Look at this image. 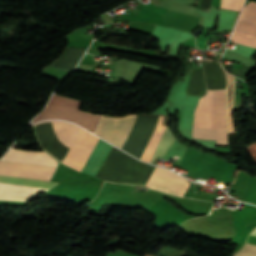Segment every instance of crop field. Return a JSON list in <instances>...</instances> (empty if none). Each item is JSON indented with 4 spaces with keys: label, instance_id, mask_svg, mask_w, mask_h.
I'll return each mask as SVG.
<instances>
[{
    "label": "crop field",
    "instance_id": "crop-field-4",
    "mask_svg": "<svg viewBox=\"0 0 256 256\" xmlns=\"http://www.w3.org/2000/svg\"><path fill=\"white\" fill-rule=\"evenodd\" d=\"M0 183L22 185L38 188L51 189L56 186V182H46L38 180H30L23 178H15L8 176H0ZM0 184V200L27 201L38 191H48L46 189L21 187L13 185Z\"/></svg>",
    "mask_w": 256,
    "mask_h": 256
},
{
    "label": "crop field",
    "instance_id": "crop-field-12",
    "mask_svg": "<svg viewBox=\"0 0 256 256\" xmlns=\"http://www.w3.org/2000/svg\"><path fill=\"white\" fill-rule=\"evenodd\" d=\"M233 256H256V246L245 243Z\"/></svg>",
    "mask_w": 256,
    "mask_h": 256
},
{
    "label": "crop field",
    "instance_id": "crop-field-6",
    "mask_svg": "<svg viewBox=\"0 0 256 256\" xmlns=\"http://www.w3.org/2000/svg\"><path fill=\"white\" fill-rule=\"evenodd\" d=\"M55 168L0 161V175L50 180Z\"/></svg>",
    "mask_w": 256,
    "mask_h": 256
},
{
    "label": "crop field",
    "instance_id": "crop-field-2",
    "mask_svg": "<svg viewBox=\"0 0 256 256\" xmlns=\"http://www.w3.org/2000/svg\"><path fill=\"white\" fill-rule=\"evenodd\" d=\"M134 115H128L126 117H122V118H108V117H103L95 134L101 136L102 138L112 142L113 144L122 147L123 142L125 140V137L127 135V132L129 130V127L131 125L132 119H133ZM164 117H159L158 121L156 123V126L140 156V159H143L145 161H149V158L151 157L165 127L161 126V123L163 121ZM161 126V128H160ZM160 128V130H159ZM159 130L148 154L147 157H145L157 131Z\"/></svg>",
    "mask_w": 256,
    "mask_h": 256
},
{
    "label": "crop field",
    "instance_id": "crop-field-3",
    "mask_svg": "<svg viewBox=\"0 0 256 256\" xmlns=\"http://www.w3.org/2000/svg\"><path fill=\"white\" fill-rule=\"evenodd\" d=\"M212 90L199 99L195 110L192 139L214 141L213 145H228L227 129H211Z\"/></svg>",
    "mask_w": 256,
    "mask_h": 256
},
{
    "label": "crop field",
    "instance_id": "crop-field-1",
    "mask_svg": "<svg viewBox=\"0 0 256 256\" xmlns=\"http://www.w3.org/2000/svg\"><path fill=\"white\" fill-rule=\"evenodd\" d=\"M79 106V100L53 94L47 107L35 117L33 122L42 119L59 118L76 122L93 132L101 115L81 111Z\"/></svg>",
    "mask_w": 256,
    "mask_h": 256
},
{
    "label": "crop field",
    "instance_id": "crop-field-14",
    "mask_svg": "<svg viewBox=\"0 0 256 256\" xmlns=\"http://www.w3.org/2000/svg\"><path fill=\"white\" fill-rule=\"evenodd\" d=\"M153 172L157 173V174H160V175H164V176L173 178V179H176V180H179V181H183V182L187 181V180L185 181L182 177L178 176L177 174H175L173 172L166 171V170H163V169H160V168H157V167H155ZM186 183H188V182H186Z\"/></svg>",
    "mask_w": 256,
    "mask_h": 256
},
{
    "label": "crop field",
    "instance_id": "crop-field-15",
    "mask_svg": "<svg viewBox=\"0 0 256 256\" xmlns=\"http://www.w3.org/2000/svg\"><path fill=\"white\" fill-rule=\"evenodd\" d=\"M251 235H255V236H256V228L253 230V232L251 233Z\"/></svg>",
    "mask_w": 256,
    "mask_h": 256
},
{
    "label": "crop field",
    "instance_id": "crop-field-11",
    "mask_svg": "<svg viewBox=\"0 0 256 256\" xmlns=\"http://www.w3.org/2000/svg\"><path fill=\"white\" fill-rule=\"evenodd\" d=\"M176 139L174 136L170 133V131L166 128L150 162L153 163L156 155L163 157V155L168 150L169 146L175 141Z\"/></svg>",
    "mask_w": 256,
    "mask_h": 256
},
{
    "label": "crop field",
    "instance_id": "crop-field-13",
    "mask_svg": "<svg viewBox=\"0 0 256 256\" xmlns=\"http://www.w3.org/2000/svg\"><path fill=\"white\" fill-rule=\"evenodd\" d=\"M243 1L244 0H221V8L239 11Z\"/></svg>",
    "mask_w": 256,
    "mask_h": 256
},
{
    "label": "crop field",
    "instance_id": "crop-field-8",
    "mask_svg": "<svg viewBox=\"0 0 256 256\" xmlns=\"http://www.w3.org/2000/svg\"><path fill=\"white\" fill-rule=\"evenodd\" d=\"M51 123L58 140L68 149H71L82 128L64 121H51Z\"/></svg>",
    "mask_w": 256,
    "mask_h": 256
},
{
    "label": "crop field",
    "instance_id": "crop-field-5",
    "mask_svg": "<svg viewBox=\"0 0 256 256\" xmlns=\"http://www.w3.org/2000/svg\"><path fill=\"white\" fill-rule=\"evenodd\" d=\"M98 139L82 129L64 165L81 172Z\"/></svg>",
    "mask_w": 256,
    "mask_h": 256
},
{
    "label": "crop field",
    "instance_id": "crop-field-7",
    "mask_svg": "<svg viewBox=\"0 0 256 256\" xmlns=\"http://www.w3.org/2000/svg\"><path fill=\"white\" fill-rule=\"evenodd\" d=\"M0 160L52 167H56L58 163V161L45 152L19 151L11 148Z\"/></svg>",
    "mask_w": 256,
    "mask_h": 256
},
{
    "label": "crop field",
    "instance_id": "crop-field-10",
    "mask_svg": "<svg viewBox=\"0 0 256 256\" xmlns=\"http://www.w3.org/2000/svg\"><path fill=\"white\" fill-rule=\"evenodd\" d=\"M212 127H226L225 89L213 90Z\"/></svg>",
    "mask_w": 256,
    "mask_h": 256
},
{
    "label": "crop field",
    "instance_id": "crop-field-9",
    "mask_svg": "<svg viewBox=\"0 0 256 256\" xmlns=\"http://www.w3.org/2000/svg\"><path fill=\"white\" fill-rule=\"evenodd\" d=\"M233 32L256 36V3H250L243 8Z\"/></svg>",
    "mask_w": 256,
    "mask_h": 256
}]
</instances>
